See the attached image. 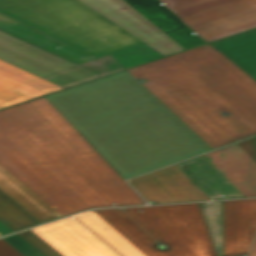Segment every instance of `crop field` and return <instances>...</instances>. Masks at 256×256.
<instances>
[{"mask_svg":"<svg viewBox=\"0 0 256 256\" xmlns=\"http://www.w3.org/2000/svg\"><path fill=\"white\" fill-rule=\"evenodd\" d=\"M0 164L63 216L147 204L44 97L0 110Z\"/></svg>","mask_w":256,"mask_h":256,"instance_id":"1","label":"crop field"},{"mask_svg":"<svg viewBox=\"0 0 256 256\" xmlns=\"http://www.w3.org/2000/svg\"><path fill=\"white\" fill-rule=\"evenodd\" d=\"M137 68L222 145L256 134V29Z\"/></svg>","mask_w":256,"mask_h":256,"instance_id":"2","label":"crop field"},{"mask_svg":"<svg viewBox=\"0 0 256 256\" xmlns=\"http://www.w3.org/2000/svg\"><path fill=\"white\" fill-rule=\"evenodd\" d=\"M0 31L100 76L147 62L54 0H0Z\"/></svg>","mask_w":256,"mask_h":256,"instance_id":"3","label":"crop field"},{"mask_svg":"<svg viewBox=\"0 0 256 256\" xmlns=\"http://www.w3.org/2000/svg\"><path fill=\"white\" fill-rule=\"evenodd\" d=\"M123 209L158 242L170 248L156 249L155 241L121 209L94 212L146 256H216L198 203Z\"/></svg>","mask_w":256,"mask_h":256,"instance_id":"4","label":"crop field"},{"mask_svg":"<svg viewBox=\"0 0 256 256\" xmlns=\"http://www.w3.org/2000/svg\"><path fill=\"white\" fill-rule=\"evenodd\" d=\"M73 89L153 168L186 159L105 78Z\"/></svg>","mask_w":256,"mask_h":256,"instance_id":"5","label":"crop field"},{"mask_svg":"<svg viewBox=\"0 0 256 256\" xmlns=\"http://www.w3.org/2000/svg\"><path fill=\"white\" fill-rule=\"evenodd\" d=\"M45 98L123 179L152 170L72 88Z\"/></svg>","mask_w":256,"mask_h":256,"instance_id":"6","label":"crop field"},{"mask_svg":"<svg viewBox=\"0 0 256 256\" xmlns=\"http://www.w3.org/2000/svg\"><path fill=\"white\" fill-rule=\"evenodd\" d=\"M207 42L256 26V0H161Z\"/></svg>","mask_w":256,"mask_h":256,"instance_id":"7","label":"crop field"},{"mask_svg":"<svg viewBox=\"0 0 256 256\" xmlns=\"http://www.w3.org/2000/svg\"><path fill=\"white\" fill-rule=\"evenodd\" d=\"M106 79L187 158L211 150L127 70Z\"/></svg>","mask_w":256,"mask_h":256,"instance_id":"8","label":"crop field"},{"mask_svg":"<svg viewBox=\"0 0 256 256\" xmlns=\"http://www.w3.org/2000/svg\"><path fill=\"white\" fill-rule=\"evenodd\" d=\"M0 59L63 88L100 77L2 32Z\"/></svg>","mask_w":256,"mask_h":256,"instance_id":"9","label":"crop field"},{"mask_svg":"<svg viewBox=\"0 0 256 256\" xmlns=\"http://www.w3.org/2000/svg\"><path fill=\"white\" fill-rule=\"evenodd\" d=\"M167 56L184 50L123 0H79ZM125 7L126 10L119 9Z\"/></svg>","mask_w":256,"mask_h":256,"instance_id":"10","label":"crop field"},{"mask_svg":"<svg viewBox=\"0 0 256 256\" xmlns=\"http://www.w3.org/2000/svg\"><path fill=\"white\" fill-rule=\"evenodd\" d=\"M31 231L63 256H119L73 217Z\"/></svg>","mask_w":256,"mask_h":256,"instance_id":"11","label":"crop field"},{"mask_svg":"<svg viewBox=\"0 0 256 256\" xmlns=\"http://www.w3.org/2000/svg\"><path fill=\"white\" fill-rule=\"evenodd\" d=\"M147 201L154 203L209 199L175 165L129 180Z\"/></svg>","mask_w":256,"mask_h":256,"instance_id":"12","label":"crop field"},{"mask_svg":"<svg viewBox=\"0 0 256 256\" xmlns=\"http://www.w3.org/2000/svg\"><path fill=\"white\" fill-rule=\"evenodd\" d=\"M224 256L246 255L256 231V199L223 201Z\"/></svg>","mask_w":256,"mask_h":256,"instance_id":"13","label":"crop field"},{"mask_svg":"<svg viewBox=\"0 0 256 256\" xmlns=\"http://www.w3.org/2000/svg\"><path fill=\"white\" fill-rule=\"evenodd\" d=\"M204 156L245 196H256V162L237 144Z\"/></svg>","mask_w":256,"mask_h":256,"instance_id":"14","label":"crop field"},{"mask_svg":"<svg viewBox=\"0 0 256 256\" xmlns=\"http://www.w3.org/2000/svg\"><path fill=\"white\" fill-rule=\"evenodd\" d=\"M63 89L0 60V108Z\"/></svg>","mask_w":256,"mask_h":256,"instance_id":"15","label":"crop field"},{"mask_svg":"<svg viewBox=\"0 0 256 256\" xmlns=\"http://www.w3.org/2000/svg\"><path fill=\"white\" fill-rule=\"evenodd\" d=\"M185 49L206 43L160 0H125Z\"/></svg>","mask_w":256,"mask_h":256,"instance_id":"16","label":"crop field"},{"mask_svg":"<svg viewBox=\"0 0 256 256\" xmlns=\"http://www.w3.org/2000/svg\"><path fill=\"white\" fill-rule=\"evenodd\" d=\"M176 166L210 199L244 197L203 155Z\"/></svg>","mask_w":256,"mask_h":256,"instance_id":"17","label":"crop field"},{"mask_svg":"<svg viewBox=\"0 0 256 256\" xmlns=\"http://www.w3.org/2000/svg\"><path fill=\"white\" fill-rule=\"evenodd\" d=\"M72 12L76 13L89 23L93 24L97 28L101 29L105 33L109 34L113 38L117 39L121 43L125 44L136 53L144 57L146 60L151 61L157 58L164 57L151 47L147 46L136 37L126 32L122 28L118 27L114 23L110 22L106 18L102 17L86 5L82 4L78 0H56Z\"/></svg>","mask_w":256,"mask_h":256,"instance_id":"18","label":"crop field"},{"mask_svg":"<svg viewBox=\"0 0 256 256\" xmlns=\"http://www.w3.org/2000/svg\"><path fill=\"white\" fill-rule=\"evenodd\" d=\"M0 190L41 223L62 217L0 165Z\"/></svg>","mask_w":256,"mask_h":256,"instance_id":"19","label":"crop field"},{"mask_svg":"<svg viewBox=\"0 0 256 256\" xmlns=\"http://www.w3.org/2000/svg\"><path fill=\"white\" fill-rule=\"evenodd\" d=\"M123 256H145L93 211L75 216Z\"/></svg>","mask_w":256,"mask_h":256,"instance_id":"20","label":"crop field"},{"mask_svg":"<svg viewBox=\"0 0 256 256\" xmlns=\"http://www.w3.org/2000/svg\"><path fill=\"white\" fill-rule=\"evenodd\" d=\"M128 71L136 78H144L147 81L146 83H144L146 88L212 149L221 146L218 141H216L208 132H206L197 122H195L186 112H184L175 102H173L164 92H162L136 67L128 69Z\"/></svg>","mask_w":256,"mask_h":256,"instance_id":"21","label":"crop field"},{"mask_svg":"<svg viewBox=\"0 0 256 256\" xmlns=\"http://www.w3.org/2000/svg\"><path fill=\"white\" fill-rule=\"evenodd\" d=\"M0 221L13 231L40 224V222H38L1 191Z\"/></svg>","mask_w":256,"mask_h":256,"instance_id":"22","label":"crop field"},{"mask_svg":"<svg viewBox=\"0 0 256 256\" xmlns=\"http://www.w3.org/2000/svg\"><path fill=\"white\" fill-rule=\"evenodd\" d=\"M210 232L217 256H223L222 201L199 203Z\"/></svg>","mask_w":256,"mask_h":256,"instance_id":"23","label":"crop field"},{"mask_svg":"<svg viewBox=\"0 0 256 256\" xmlns=\"http://www.w3.org/2000/svg\"><path fill=\"white\" fill-rule=\"evenodd\" d=\"M18 235H20L22 238H24L46 256H62L30 230L18 233Z\"/></svg>","mask_w":256,"mask_h":256,"instance_id":"24","label":"crop field"},{"mask_svg":"<svg viewBox=\"0 0 256 256\" xmlns=\"http://www.w3.org/2000/svg\"><path fill=\"white\" fill-rule=\"evenodd\" d=\"M238 144L256 161V136L238 142Z\"/></svg>","mask_w":256,"mask_h":256,"instance_id":"25","label":"crop field"},{"mask_svg":"<svg viewBox=\"0 0 256 256\" xmlns=\"http://www.w3.org/2000/svg\"><path fill=\"white\" fill-rule=\"evenodd\" d=\"M20 252V251H19ZM5 240L0 238V256H23ZM25 256V255H24Z\"/></svg>","mask_w":256,"mask_h":256,"instance_id":"26","label":"crop field"},{"mask_svg":"<svg viewBox=\"0 0 256 256\" xmlns=\"http://www.w3.org/2000/svg\"><path fill=\"white\" fill-rule=\"evenodd\" d=\"M248 256H256V236L249 250Z\"/></svg>","mask_w":256,"mask_h":256,"instance_id":"27","label":"crop field"},{"mask_svg":"<svg viewBox=\"0 0 256 256\" xmlns=\"http://www.w3.org/2000/svg\"><path fill=\"white\" fill-rule=\"evenodd\" d=\"M9 232H12V230H10L8 227L0 222V234L3 235Z\"/></svg>","mask_w":256,"mask_h":256,"instance_id":"28","label":"crop field"}]
</instances>
